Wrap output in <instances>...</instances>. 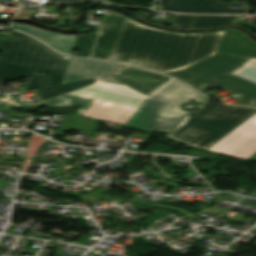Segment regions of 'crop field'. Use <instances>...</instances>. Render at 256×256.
Returning <instances> with one entry per match:
<instances>
[{
  "label": "crop field",
  "instance_id": "28ad6ade",
  "mask_svg": "<svg viewBox=\"0 0 256 256\" xmlns=\"http://www.w3.org/2000/svg\"><path fill=\"white\" fill-rule=\"evenodd\" d=\"M239 16H193L176 14L170 27L173 28H207L236 23Z\"/></svg>",
  "mask_w": 256,
  "mask_h": 256
},
{
  "label": "crop field",
  "instance_id": "5a996713",
  "mask_svg": "<svg viewBox=\"0 0 256 256\" xmlns=\"http://www.w3.org/2000/svg\"><path fill=\"white\" fill-rule=\"evenodd\" d=\"M228 4L214 0H168L162 10L188 13H241V9H230Z\"/></svg>",
  "mask_w": 256,
  "mask_h": 256
},
{
  "label": "crop field",
  "instance_id": "22f410ed",
  "mask_svg": "<svg viewBox=\"0 0 256 256\" xmlns=\"http://www.w3.org/2000/svg\"><path fill=\"white\" fill-rule=\"evenodd\" d=\"M96 79L91 80H85V81H79V82H73V83H67L59 86L49 87V88H43L36 90L41 101L50 99L52 97L61 95L63 93L72 91L74 89L86 86L88 84L94 83Z\"/></svg>",
  "mask_w": 256,
  "mask_h": 256
},
{
  "label": "crop field",
  "instance_id": "3316defc",
  "mask_svg": "<svg viewBox=\"0 0 256 256\" xmlns=\"http://www.w3.org/2000/svg\"><path fill=\"white\" fill-rule=\"evenodd\" d=\"M218 52L256 58V43L237 29H227Z\"/></svg>",
  "mask_w": 256,
  "mask_h": 256
},
{
  "label": "crop field",
  "instance_id": "214f88e0",
  "mask_svg": "<svg viewBox=\"0 0 256 256\" xmlns=\"http://www.w3.org/2000/svg\"><path fill=\"white\" fill-rule=\"evenodd\" d=\"M6 81H7V80H6L5 76L3 75V73H2L1 70H0V85L3 84V83H5Z\"/></svg>",
  "mask_w": 256,
  "mask_h": 256
},
{
  "label": "crop field",
  "instance_id": "412701ff",
  "mask_svg": "<svg viewBox=\"0 0 256 256\" xmlns=\"http://www.w3.org/2000/svg\"><path fill=\"white\" fill-rule=\"evenodd\" d=\"M254 112H256L255 108L208 102L200 112H190L168 137L182 143L208 149Z\"/></svg>",
  "mask_w": 256,
  "mask_h": 256
},
{
  "label": "crop field",
  "instance_id": "e52e79f7",
  "mask_svg": "<svg viewBox=\"0 0 256 256\" xmlns=\"http://www.w3.org/2000/svg\"><path fill=\"white\" fill-rule=\"evenodd\" d=\"M126 19L127 16L122 14H110V25H100L101 30L91 58L110 59Z\"/></svg>",
  "mask_w": 256,
  "mask_h": 256
},
{
  "label": "crop field",
  "instance_id": "92a150f3",
  "mask_svg": "<svg viewBox=\"0 0 256 256\" xmlns=\"http://www.w3.org/2000/svg\"><path fill=\"white\" fill-rule=\"evenodd\" d=\"M7 1H15V0H7Z\"/></svg>",
  "mask_w": 256,
  "mask_h": 256
},
{
  "label": "crop field",
  "instance_id": "4a817a6b",
  "mask_svg": "<svg viewBox=\"0 0 256 256\" xmlns=\"http://www.w3.org/2000/svg\"><path fill=\"white\" fill-rule=\"evenodd\" d=\"M89 1H101L105 0H46L45 3H68V2H89Z\"/></svg>",
  "mask_w": 256,
  "mask_h": 256
},
{
  "label": "crop field",
  "instance_id": "34b2d1b8",
  "mask_svg": "<svg viewBox=\"0 0 256 256\" xmlns=\"http://www.w3.org/2000/svg\"><path fill=\"white\" fill-rule=\"evenodd\" d=\"M0 48V68L7 80L30 79L25 91L62 83L69 60L40 42L16 31L15 39L0 38Z\"/></svg>",
  "mask_w": 256,
  "mask_h": 256
},
{
  "label": "crop field",
  "instance_id": "dd49c442",
  "mask_svg": "<svg viewBox=\"0 0 256 256\" xmlns=\"http://www.w3.org/2000/svg\"><path fill=\"white\" fill-rule=\"evenodd\" d=\"M209 150L249 158L256 152V115L235 128Z\"/></svg>",
  "mask_w": 256,
  "mask_h": 256
},
{
  "label": "crop field",
  "instance_id": "8a807250",
  "mask_svg": "<svg viewBox=\"0 0 256 256\" xmlns=\"http://www.w3.org/2000/svg\"><path fill=\"white\" fill-rule=\"evenodd\" d=\"M118 67L110 62L71 57L63 83L97 78L96 83L32 107L84 105L77 112L81 116L169 133L187 113L180 107L183 103L208 100L173 78L144 95L111 77Z\"/></svg>",
  "mask_w": 256,
  "mask_h": 256
},
{
  "label": "crop field",
  "instance_id": "f4fd0767",
  "mask_svg": "<svg viewBox=\"0 0 256 256\" xmlns=\"http://www.w3.org/2000/svg\"><path fill=\"white\" fill-rule=\"evenodd\" d=\"M246 59V57L217 53L186 69L166 74L180 79L199 92L218 86L234 95H241L233 104L256 106V85L228 73ZM250 101L255 102L252 104L249 103Z\"/></svg>",
  "mask_w": 256,
  "mask_h": 256
},
{
  "label": "crop field",
  "instance_id": "d1516ede",
  "mask_svg": "<svg viewBox=\"0 0 256 256\" xmlns=\"http://www.w3.org/2000/svg\"><path fill=\"white\" fill-rule=\"evenodd\" d=\"M13 26L47 42L56 50L62 53L69 54L70 52V49L72 47L73 40H74L73 37H69V36L61 35L57 33L46 32V31L36 29L30 26L22 25V24H13Z\"/></svg>",
  "mask_w": 256,
  "mask_h": 256
},
{
  "label": "crop field",
  "instance_id": "5142ce71",
  "mask_svg": "<svg viewBox=\"0 0 256 256\" xmlns=\"http://www.w3.org/2000/svg\"><path fill=\"white\" fill-rule=\"evenodd\" d=\"M98 33L80 34L77 36L73 49L80 50L76 56L89 57L95 38Z\"/></svg>",
  "mask_w": 256,
  "mask_h": 256
},
{
  "label": "crop field",
  "instance_id": "d8731c3e",
  "mask_svg": "<svg viewBox=\"0 0 256 256\" xmlns=\"http://www.w3.org/2000/svg\"><path fill=\"white\" fill-rule=\"evenodd\" d=\"M115 77L144 94L151 93L170 78L161 74L131 67L126 68Z\"/></svg>",
  "mask_w": 256,
  "mask_h": 256
},
{
  "label": "crop field",
  "instance_id": "cbeb9de0",
  "mask_svg": "<svg viewBox=\"0 0 256 256\" xmlns=\"http://www.w3.org/2000/svg\"><path fill=\"white\" fill-rule=\"evenodd\" d=\"M96 121L94 119L79 117L73 114L65 117L64 126L62 130H53L54 134L63 135V131L78 130V129H91L96 130Z\"/></svg>",
  "mask_w": 256,
  "mask_h": 256
},
{
  "label": "crop field",
  "instance_id": "ac0d7876",
  "mask_svg": "<svg viewBox=\"0 0 256 256\" xmlns=\"http://www.w3.org/2000/svg\"><path fill=\"white\" fill-rule=\"evenodd\" d=\"M224 31L182 34L128 17L110 60L162 73L182 69L217 53Z\"/></svg>",
  "mask_w": 256,
  "mask_h": 256
},
{
  "label": "crop field",
  "instance_id": "d9b57169",
  "mask_svg": "<svg viewBox=\"0 0 256 256\" xmlns=\"http://www.w3.org/2000/svg\"><path fill=\"white\" fill-rule=\"evenodd\" d=\"M231 74L256 83V59L250 58L241 68Z\"/></svg>",
  "mask_w": 256,
  "mask_h": 256
},
{
  "label": "crop field",
  "instance_id": "bc2a9ffb",
  "mask_svg": "<svg viewBox=\"0 0 256 256\" xmlns=\"http://www.w3.org/2000/svg\"><path fill=\"white\" fill-rule=\"evenodd\" d=\"M32 160H33V158L32 159H27V160L24 161L22 172H27Z\"/></svg>",
  "mask_w": 256,
  "mask_h": 256
},
{
  "label": "crop field",
  "instance_id": "733c2abd",
  "mask_svg": "<svg viewBox=\"0 0 256 256\" xmlns=\"http://www.w3.org/2000/svg\"><path fill=\"white\" fill-rule=\"evenodd\" d=\"M47 140L37 137L35 135H31L30 137V142H29V146L27 148L26 151V157L25 158H29V157H34V155L36 154V152L38 151L39 147L46 142Z\"/></svg>",
  "mask_w": 256,
  "mask_h": 256
}]
</instances>
